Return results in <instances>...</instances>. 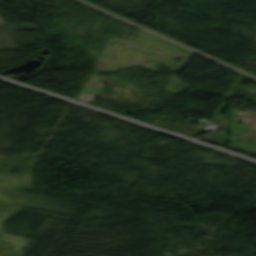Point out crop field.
<instances>
[{"mask_svg": "<svg viewBox=\"0 0 256 256\" xmlns=\"http://www.w3.org/2000/svg\"><path fill=\"white\" fill-rule=\"evenodd\" d=\"M16 49L13 31H0V50Z\"/></svg>", "mask_w": 256, "mask_h": 256, "instance_id": "1", "label": "crop field"}, {"mask_svg": "<svg viewBox=\"0 0 256 256\" xmlns=\"http://www.w3.org/2000/svg\"><path fill=\"white\" fill-rule=\"evenodd\" d=\"M39 28L33 23H18V24H0V30H20Z\"/></svg>", "mask_w": 256, "mask_h": 256, "instance_id": "2", "label": "crop field"}, {"mask_svg": "<svg viewBox=\"0 0 256 256\" xmlns=\"http://www.w3.org/2000/svg\"><path fill=\"white\" fill-rule=\"evenodd\" d=\"M0 23H5L2 19H0Z\"/></svg>", "mask_w": 256, "mask_h": 256, "instance_id": "3", "label": "crop field"}]
</instances>
